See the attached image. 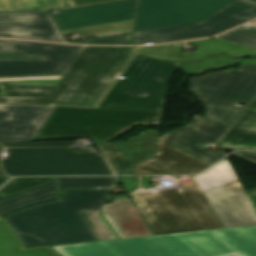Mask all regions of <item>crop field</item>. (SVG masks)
Instances as JSON below:
<instances>
[{
	"label": "crop field",
	"instance_id": "obj_35",
	"mask_svg": "<svg viewBox=\"0 0 256 256\" xmlns=\"http://www.w3.org/2000/svg\"><path fill=\"white\" fill-rule=\"evenodd\" d=\"M248 195H249L254 207L256 208V190L248 192Z\"/></svg>",
	"mask_w": 256,
	"mask_h": 256
},
{
	"label": "crop field",
	"instance_id": "obj_26",
	"mask_svg": "<svg viewBox=\"0 0 256 256\" xmlns=\"http://www.w3.org/2000/svg\"><path fill=\"white\" fill-rule=\"evenodd\" d=\"M122 145L123 143L100 145L116 174H120L130 169L128 164L129 155L122 149Z\"/></svg>",
	"mask_w": 256,
	"mask_h": 256
},
{
	"label": "crop field",
	"instance_id": "obj_3",
	"mask_svg": "<svg viewBox=\"0 0 256 256\" xmlns=\"http://www.w3.org/2000/svg\"><path fill=\"white\" fill-rule=\"evenodd\" d=\"M111 189L67 190L55 202L4 217L24 248L99 240L82 210L101 209Z\"/></svg>",
	"mask_w": 256,
	"mask_h": 256
},
{
	"label": "crop field",
	"instance_id": "obj_32",
	"mask_svg": "<svg viewBox=\"0 0 256 256\" xmlns=\"http://www.w3.org/2000/svg\"><path fill=\"white\" fill-rule=\"evenodd\" d=\"M74 142H40V143H13L3 144L5 147H67Z\"/></svg>",
	"mask_w": 256,
	"mask_h": 256
},
{
	"label": "crop field",
	"instance_id": "obj_11",
	"mask_svg": "<svg viewBox=\"0 0 256 256\" xmlns=\"http://www.w3.org/2000/svg\"><path fill=\"white\" fill-rule=\"evenodd\" d=\"M256 18V5L234 0L199 23L133 32V45L208 37Z\"/></svg>",
	"mask_w": 256,
	"mask_h": 256
},
{
	"label": "crop field",
	"instance_id": "obj_34",
	"mask_svg": "<svg viewBox=\"0 0 256 256\" xmlns=\"http://www.w3.org/2000/svg\"><path fill=\"white\" fill-rule=\"evenodd\" d=\"M73 1L76 6H79V5L98 3V2H104V1H110V0H73Z\"/></svg>",
	"mask_w": 256,
	"mask_h": 256
},
{
	"label": "crop field",
	"instance_id": "obj_36",
	"mask_svg": "<svg viewBox=\"0 0 256 256\" xmlns=\"http://www.w3.org/2000/svg\"><path fill=\"white\" fill-rule=\"evenodd\" d=\"M242 63L256 66V59H245L242 61Z\"/></svg>",
	"mask_w": 256,
	"mask_h": 256
},
{
	"label": "crop field",
	"instance_id": "obj_1",
	"mask_svg": "<svg viewBox=\"0 0 256 256\" xmlns=\"http://www.w3.org/2000/svg\"><path fill=\"white\" fill-rule=\"evenodd\" d=\"M131 57L130 47L85 46L64 75L0 78V102L94 107Z\"/></svg>",
	"mask_w": 256,
	"mask_h": 256
},
{
	"label": "crop field",
	"instance_id": "obj_2",
	"mask_svg": "<svg viewBox=\"0 0 256 256\" xmlns=\"http://www.w3.org/2000/svg\"><path fill=\"white\" fill-rule=\"evenodd\" d=\"M63 256H256V226L53 247Z\"/></svg>",
	"mask_w": 256,
	"mask_h": 256
},
{
	"label": "crop field",
	"instance_id": "obj_10",
	"mask_svg": "<svg viewBox=\"0 0 256 256\" xmlns=\"http://www.w3.org/2000/svg\"><path fill=\"white\" fill-rule=\"evenodd\" d=\"M193 179L224 228L256 225V210L227 159Z\"/></svg>",
	"mask_w": 256,
	"mask_h": 256
},
{
	"label": "crop field",
	"instance_id": "obj_25",
	"mask_svg": "<svg viewBox=\"0 0 256 256\" xmlns=\"http://www.w3.org/2000/svg\"><path fill=\"white\" fill-rule=\"evenodd\" d=\"M114 177L56 178L57 188L111 187Z\"/></svg>",
	"mask_w": 256,
	"mask_h": 256
},
{
	"label": "crop field",
	"instance_id": "obj_13",
	"mask_svg": "<svg viewBox=\"0 0 256 256\" xmlns=\"http://www.w3.org/2000/svg\"><path fill=\"white\" fill-rule=\"evenodd\" d=\"M228 128V126L215 124L199 115H194L188 127L171 131L165 142L213 164L223 158L221 153L210 152L202 146L220 140Z\"/></svg>",
	"mask_w": 256,
	"mask_h": 256
},
{
	"label": "crop field",
	"instance_id": "obj_39",
	"mask_svg": "<svg viewBox=\"0 0 256 256\" xmlns=\"http://www.w3.org/2000/svg\"><path fill=\"white\" fill-rule=\"evenodd\" d=\"M138 47H133V52L132 54H135V52L137 51Z\"/></svg>",
	"mask_w": 256,
	"mask_h": 256
},
{
	"label": "crop field",
	"instance_id": "obj_17",
	"mask_svg": "<svg viewBox=\"0 0 256 256\" xmlns=\"http://www.w3.org/2000/svg\"><path fill=\"white\" fill-rule=\"evenodd\" d=\"M168 133L159 138L156 155L134 167V175L195 174L210 165L164 143Z\"/></svg>",
	"mask_w": 256,
	"mask_h": 256
},
{
	"label": "crop field",
	"instance_id": "obj_40",
	"mask_svg": "<svg viewBox=\"0 0 256 256\" xmlns=\"http://www.w3.org/2000/svg\"><path fill=\"white\" fill-rule=\"evenodd\" d=\"M251 1H254V2H256V0H251Z\"/></svg>",
	"mask_w": 256,
	"mask_h": 256
},
{
	"label": "crop field",
	"instance_id": "obj_14",
	"mask_svg": "<svg viewBox=\"0 0 256 256\" xmlns=\"http://www.w3.org/2000/svg\"><path fill=\"white\" fill-rule=\"evenodd\" d=\"M137 0H124L57 10L54 15L61 30L133 19Z\"/></svg>",
	"mask_w": 256,
	"mask_h": 256
},
{
	"label": "crop field",
	"instance_id": "obj_15",
	"mask_svg": "<svg viewBox=\"0 0 256 256\" xmlns=\"http://www.w3.org/2000/svg\"><path fill=\"white\" fill-rule=\"evenodd\" d=\"M0 37L65 42L50 11L0 15Z\"/></svg>",
	"mask_w": 256,
	"mask_h": 256
},
{
	"label": "crop field",
	"instance_id": "obj_16",
	"mask_svg": "<svg viewBox=\"0 0 256 256\" xmlns=\"http://www.w3.org/2000/svg\"><path fill=\"white\" fill-rule=\"evenodd\" d=\"M53 109L0 104V142L30 141Z\"/></svg>",
	"mask_w": 256,
	"mask_h": 256
},
{
	"label": "crop field",
	"instance_id": "obj_20",
	"mask_svg": "<svg viewBox=\"0 0 256 256\" xmlns=\"http://www.w3.org/2000/svg\"><path fill=\"white\" fill-rule=\"evenodd\" d=\"M56 200L55 181L5 198L0 196V216Z\"/></svg>",
	"mask_w": 256,
	"mask_h": 256
},
{
	"label": "crop field",
	"instance_id": "obj_22",
	"mask_svg": "<svg viewBox=\"0 0 256 256\" xmlns=\"http://www.w3.org/2000/svg\"><path fill=\"white\" fill-rule=\"evenodd\" d=\"M72 6H75L72 0H0V14L47 11Z\"/></svg>",
	"mask_w": 256,
	"mask_h": 256
},
{
	"label": "crop field",
	"instance_id": "obj_18",
	"mask_svg": "<svg viewBox=\"0 0 256 256\" xmlns=\"http://www.w3.org/2000/svg\"><path fill=\"white\" fill-rule=\"evenodd\" d=\"M102 210L121 238L152 235L129 199H115L114 204L103 205Z\"/></svg>",
	"mask_w": 256,
	"mask_h": 256
},
{
	"label": "crop field",
	"instance_id": "obj_21",
	"mask_svg": "<svg viewBox=\"0 0 256 256\" xmlns=\"http://www.w3.org/2000/svg\"><path fill=\"white\" fill-rule=\"evenodd\" d=\"M3 218L0 219V256H59L49 247L23 250Z\"/></svg>",
	"mask_w": 256,
	"mask_h": 256
},
{
	"label": "crop field",
	"instance_id": "obj_4",
	"mask_svg": "<svg viewBox=\"0 0 256 256\" xmlns=\"http://www.w3.org/2000/svg\"><path fill=\"white\" fill-rule=\"evenodd\" d=\"M162 112L55 107L31 141L91 137L107 143L136 125H160Z\"/></svg>",
	"mask_w": 256,
	"mask_h": 256
},
{
	"label": "crop field",
	"instance_id": "obj_38",
	"mask_svg": "<svg viewBox=\"0 0 256 256\" xmlns=\"http://www.w3.org/2000/svg\"><path fill=\"white\" fill-rule=\"evenodd\" d=\"M1 150H2V146L0 145V152H1ZM0 176H7V175H5V174L2 172L1 168H0Z\"/></svg>",
	"mask_w": 256,
	"mask_h": 256
},
{
	"label": "crop field",
	"instance_id": "obj_19",
	"mask_svg": "<svg viewBox=\"0 0 256 256\" xmlns=\"http://www.w3.org/2000/svg\"><path fill=\"white\" fill-rule=\"evenodd\" d=\"M220 146L256 150V97L222 139Z\"/></svg>",
	"mask_w": 256,
	"mask_h": 256
},
{
	"label": "crop field",
	"instance_id": "obj_23",
	"mask_svg": "<svg viewBox=\"0 0 256 256\" xmlns=\"http://www.w3.org/2000/svg\"><path fill=\"white\" fill-rule=\"evenodd\" d=\"M158 132L159 130H147L140 133L138 137H131L127 141L126 148L132 154V166L155 154Z\"/></svg>",
	"mask_w": 256,
	"mask_h": 256
},
{
	"label": "crop field",
	"instance_id": "obj_7",
	"mask_svg": "<svg viewBox=\"0 0 256 256\" xmlns=\"http://www.w3.org/2000/svg\"><path fill=\"white\" fill-rule=\"evenodd\" d=\"M190 91L205 106L204 118L231 126L256 94V67L240 64L238 70L214 72L189 81Z\"/></svg>",
	"mask_w": 256,
	"mask_h": 256
},
{
	"label": "crop field",
	"instance_id": "obj_6",
	"mask_svg": "<svg viewBox=\"0 0 256 256\" xmlns=\"http://www.w3.org/2000/svg\"><path fill=\"white\" fill-rule=\"evenodd\" d=\"M182 62L134 56L97 108L162 111L167 85Z\"/></svg>",
	"mask_w": 256,
	"mask_h": 256
},
{
	"label": "crop field",
	"instance_id": "obj_8",
	"mask_svg": "<svg viewBox=\"0 0 256 256\" xmlns=\"http://www.w3.org/2000/svg\"><path fill=\"white\" fill-rule=\"evenodd\" d=\"M8 175H113L96 153L74 154L70 148H8L2 160Z\"/></svg>",
	"mask_w": 256,
	"mask_h": 256
},
{
	"label": "crop field",
	"instance_id": "obj_37",
	"mask_svg": "<svg viewBox=\"0 0 256 256\" xmlns=\"http://www.w3.org/2000/svg\"><path fill=\"white\" fill-rule=\"evenodd\" d=\"M9 177H0V185L4 183Z\"/></svg>",
	"mask_w": 256,
	"mask_h": 256
},
{
	"label": "crop field",
	"instance_id": "obj_5",
	"mask_svg": "<svg viewBox=\"0 0 256 256\" xmlns=\"http://www.w3.org/2000/svg\"><path fill=\"white\" fill-rule=\"evenodd\" d=\"M131 198L154 235L223 228L198 187Z\"/></svg>",
	"mask_w": 256,
	"mask_h": 256
},
{
	"label": "crop field",
	"instance_id": "obj_31",
	"mask_svg": "<svg viewBox=\"0 0 256 256\" xmlns=\"http://www.w3.org/2000/svg\"><path fill=\"white\" fill-rule=\"evenodd\" d=\"M88 219L91 220V222L93 223L96 231L99 233V237L101 240H105V239H113L115 238L111 232L108 230V228L106 227V225L104 224L103 220L101 219V217L99 216L98 212H85Z\"/></svg>",
	"mask_w": 256,
	"mask_h": 256
},
{
	"label": "crop field",
	"instance_id": "obj_29",
	"mask_svg": "<svg viewBox=\"0 0 256 256\" xmlns=\"http://www.w3.org/2000/svg\"><path fill=\"white\" fill-rule=\"evenodd\" d=\"M68 43L98 44V45H131V33L72 41Z\"/></svg>",
	"mask_w": 256,
	"mask_h": 256
},
{
	"label": "crop field",
	"instance_id": "obj_30",
	"mask_svg": "<svg viewBox=\"0 0 256 256\" xmlns=\"http://www.w3.org/2000/svg\"><path fill=\"white\" fill-rule=\"evenodd\" d=\"M228 61H229V59L226 55H220V56L210 57L206 60L190 62L188 64L181 65V67L179 69H181L182 71H194V70H198L202 67L226 63Z\"/></svg>",
	"mask_w": 256,
	"mask_h": 256
},
{
	"label": "crop field",
	"instance_id": "obj_12",
	"mask_svg": "<svg viewBox=\"0 0 256 256\" xmlns=\"http://www.w3.org/2000/svg\"><path fill=\"white\" fill-rule=\"evenodd\" d=\"M232 0H139L133 31L195 23Z\"/></svg>",
	"mask_w": 256,
	"mask_h": 256
},
{
	"label": "crop field",
	"instance_id": "obj_24",
	"mask_svg": "<svg viewBox=\"0 0 256 256\" xmlns=\"http://www.w3.org/2000/svg\"><path fill=\"white\" fill-rule=\"evenodd\" d=\"M226 51L233 56L238 55H256V51L241 46H237L231 43H227L221 40L213 38L211 41L197 49L194 53L188 56L187 60L197 59L203 57L209 53Z\"/></svg>",
	"mask_w": 256,
	"mask_h": 256
},
{
	"label": "crop field",
	"instance_id": "obj_27",
	"mask_svg": "<svg viewBox=\"0 0 256 256\" xmlns=\"http://www.w3.org/2000/svg\"><path fill=\"white\" fill-rule=\"evenodd\" d=\"M54 180L55 178H15L7 183L0 190V195L5 197L23 190L43 185Z\"/></svg>",
	"mask_w": 256,
	"mask_h": 256
},
{
	"label": "crop field",
	"instance_id": "obj_33",
	"mask_svg": "<svg viewBox=\"0 0 256 256\" xmlns=\"http://www.w3.org/2000/svg\"><path fill=\"white\" fill-rule=\"evenodd\" d=\"M237 156H240L244 159H247L251 162L256 163V153L255 152H247V151H237L235 153H233Z\"/></svg>",
	"mask_w": 256,
	"mask_h": 256
},
{
	"label": "crop field",
	"instance_id": "obj_9",
	"mask_svg": "<svg viewBox=\"0 0 256 256\" xmlns=\"http://www.w3.org/2000/svg\"><path fill=\"white\" fill-rule=\"evenodd\" d=\"M83 48L0 40V77L66 73Z\"/></svg>",
	"mask_w": 256,
	"mask_h": 256
},
{
	"label": "crop field",
	"instance_id": "obj_28",
	"mask_svg": "<svg viewBox=\"0 0 256 256\" xmlns=\"http://www.w3.org/2000/svg\"><path fill=\"white\" fill-rule=\"evenodd\" d=\"M217 37L256 48V27L254 26L249 28L239 27Z\"/></svg>",
	"mask_w": 256,
	"mask_h": 256
}]
</instances>
